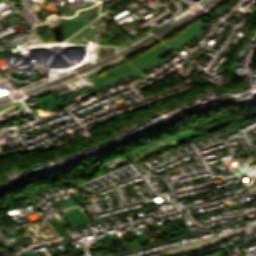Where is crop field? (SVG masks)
<instances>
[{"label": "crop field", "mask_w": 256, "mask_h": 256, "mask_svg": "<svg viewBox=\"0 0 256 256\" xmlns=\"http://www.w3.org/2000/svg\"><path fill=\"white\" fill-rule=\"evenodd\" d=\"M50 223L54 227V229L59 233L61 237H68V234L65 232L64 229L55 221V219L50 220Z\"/></svg>", "instance_id": "obj_4"}, {"label": "crop field", "mask_w": 256, "mask_h": 256, "mask_svg": "<svg viewBox=\"0 0 256 256\" xmlns=\"http://www.w3.org/2000/svg\"><path fill=\"white\" fill-rule=\"evenodd\" d=\"M205 25L206 23L198 20L190 28L184 30L179 35H177L171 42L166 43V45L172 47L176 51L180 50L182 47L195 39Z\"/></svg>", "instance_id": "obj_2"}, {"label": "crop field", "mask_w": 256, "mask_h": 256, "mask_svg": "<svg viewBox=\"0 0 256 256\" xmlns=\"http://www.w3.org/2000/svg\"><path fill=\"white\" fill-rule=\"evenodd\" d=\"M41 107L40 109H36L35 112L36 114L38 113H42V112H45V111H48L49 108H52L54 106H59L61 105L58 100L55 99V97L51 94L47 97H44V98H41L38 100Z\"/></svg>", "instance_id": "obj_3"}, {"label": "crop field", "mask_w": 256, "mask_h": 256, "mask_svg": "<svg viewBox=\"0 0 256 256\" xmlns=\"http://www.w3.org/2000/svg\"><path fill=\"white\" fill-rule=\"evenodd\" d=\"M43 96H47V93H43L40 96L36 97L35 99H38V98L43 97Z\"/></svg>", "instance_id": "obj_6"}, {"label": "crop field", "mask_w": 256, "mask_h": 256, "mask_svg": "<svg viewBox=\"0 0 256 256\" xmlns=\"http://www.w3.org/2000/svg\"><path fill=\"white\" fill-rule=\"evenodd\" d=\"M138 74H140V72H138L137 70H135V71H133V72H131V73H129V74H127V75H125V76H123V77L117 79V80H114V81H112V82H110V83H108V84H106V85H103V86L99 87V89H101V88H103V87H106V86H108V85H111V84H113V83H115V82H118V81H120V80H123V79H125V78H127V77H132V76L138 75Z\"/></svg>", "instance_id": "obj_5"}, {"label": "crop field", "mask_w": 256, "mask_h": 256, "mask_svg": "<svg viewBox=\"0 0 256 256\" xmlns=\"http://www.w3.org/2000/svg\"><path fill=\"white\" fill-rule=\"evenodd\" d=\"M173 51L168 46L164 45L163 43L152 48L148 52H146L144 55L130 61L132 64H134L140 71H145L156 64L163 61L160 57L168 54L169 52Z\"/></svg>", "instance_id": "obj_1"}]
</instances>
